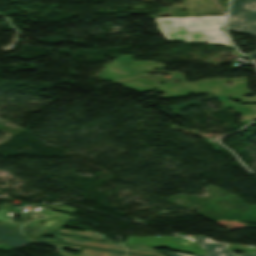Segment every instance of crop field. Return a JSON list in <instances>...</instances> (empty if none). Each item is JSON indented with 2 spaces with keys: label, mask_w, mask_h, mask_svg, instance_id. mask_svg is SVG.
Masks as SVG:
<instances>
[{
  "label": "crop field",
  "mask_w": 256,
  "mask_h": 256,
  "mask_svg": "<svg viewBox=\"0 0 256 256\" xmlns=\"http://www.w3.org/2000/svg\"><path fill=\"white\" fill-rule=\"evenodd\" d=\"M183 19L189 22L188 26L193 29H202L210 27H223L225 16L214 17H191V18H174Z\"/></svg>",
  "instance_id": "crop-field-8"
},
{
  "label": "crop field",
  "mask_w": 256,
  "mask_h": 256,
  "mask_svg": "<svg viewBox=\"0 0 256 256\" xmlns=\"http://www.w3.org/2000/svg\"><path fill=\"white\" fill-rule=\"evenodd\" d=\"M0 232L17 235V234H15V233H13V232H11V231H9V230H7V229L1 227V226H0Z\"/></svg>",
  "instance_id": "crop-field-12"
},
{
  "label": "crop field",
  "mask_w": 256,
  "mask_h": 256,
  "mask_svg": "<svg viewBox=\"0 0 256 256\" xmlns=\"http://www.w3.org/2000/svg\"><path fill=\"white\" fill-rule=\"evenodd\" d=\"M233 99L240 100L242 103H256V96L253 98L243 97L242 95L233 96Z\"/></svg>",
  "instance_id": "crop-field-11"
},
{
  "label": "crop field",
  "mask_w": 256,
  "mask_h": 256,
  "mask_svg": "<svg viewBox=\"0 0 256 256\" xmlns=\"http://www.w3.org/2000/svg\"><path fill=\"white\" fill-rule=\"evenodd\" d=\"M104 67L108 70L109 73L97 75L96 77L101 78L100 81L111 80L112 82L116 83V82H120L128 79L144 76L150 79L160 81L162 83L163 82L173 83L172 79L174 78H180L181 83L186 82L184 80V74L178 73V72L163 71V73L172 74L170 79H165L160 76L150 77L146 74V72H152L150 70H153L156 68L163 70L164 64H162V66H159V63L132 61V55L120 57L112 61L110 64L104 65ZM119 84L139 92L153 91L154 88L160 85L159 83L153 82L145 78L123 82Z\"/></svg>",
  "instance_id": "crop-field-1"
},
{
  "label": "crop field",
  "mask_w": 256,
  "mask_h": 256,
  "mask_svg": "<svg viewBox=\"0 0 256 256\" xmlns=\"http://www.w3.org/2000/svg\"><path fill=\"white\" fill-rule=\"evenodd\" d=\"M197 243L201 246V248L205 251L207 256H256L253 254H244V255H235L234 253L226 250L229 244L225 243H217L209 238L202 236V237H194ZM168 256H192L186 254H177V253H170ZM199 256V255H194Z\"/></svg>",
  "instance_id": "crop-field-6"
},
{
  "label": "crop field",
  "mask_w": 256,
  "mask_h": 256,
  "mask_svg": "<svg viewBox=\"0 0 256 256\" xmlns=\"http://www.w3.org/2000/svg\"><path fill=\"white\" fill-rule=\"evenodd\" d=\"M0 240L14 248H20L23 245H27L29 243H32L22 237L17 236H9V235H1L0 234Z\"/></svg>",
  "instance_id": "crop-field-10"
},
{
  "label": "crop field",
  "mask_w": 256,
  "mask_h": 256,
  "mask_svg": "<svg viewBox=\"0 0 256 256\" xmlns=\"http://www.w3.org/2000/svg\"><path fill=\"white\" fill-rule=\"evenodd\" d=\"M232 82V86L226 83ZM189 89L210 92L214 94H243L250 93L246 88V78L235 79H205L202 81L183 83Z\"/></svg>",
  "instance_id": "crop-field-4"
},
{
  "label": "crop field",
  "mask_w": 256,
  "mask_h": 256,
  "mask_svg": "<svg viewBox=\"0 0 256 256\" xmlns=\"http://www.w3.org/2000/svg\"><path fill=\"white\" fill-rule=\"evenodd\" d=\"M247 57L251 58H256V52L248 53L246 54Z\"/></svg>",
  "instance_id": "crop-field-13"
},
{
  "label": "crop field",
  "mask_w": 256,
  "mask_h": 256,
  "mask_svg": "<svg viewBox=\"0 0 256 256\" xmlns=\"http://www.w3.org/2000/svg\"><path fill=\"white\" fill-rule=\"evenodd\" d=\"M154 19L156 24L159 25L158 30L167 38V41L222 44L231 47L223 31H220L219 28L192 30L187 27L188 22L186 23L183 20L167 18Z\"/></svg>",
  "instance_id": "crop-field-2"
},
{
  "label": "crop field",
  "mask_w": 256,
  "mask_h": 256,
  "mask_svg": "<svg viewBox=\"0 0 256 256\" xmlns=\"http://www.w3.org/2000/svg\"><path fill=\"white\" fill-rule=\"evenodd\" d=\"M48 240V239H47ZM54 240H56V241H60L59 239H57V238H55ZM61 242V241H60Z\"/></svg>",
  "instance_id": "crop-field-14"
},
{
  "label": "crop field",
  "mask_w": 256,
  "mask_h": 256,
  "mask_svg": "<svg viewBox=\"0 0 256 256\" xmlns=\"http://www.w3.org/2000/svg\"><path fill=\"white\" fill-rule=\"evenodd\" d=\"M210 98H217V100L222 104L223 109L227 110L228 108H231L235 111V113L242 116V119L240 121L241 124L247 123L250 120L254 119L256 117V106H241L237 105L230 100H228L231 96H214V95H208Z\"/></svg>",
  "instance_id": "crop-field-7"
},
{
  "label": "crop field",
  "mask_w": 256,
  "mask_h": 256,
  "mask_svg": "<svg viewBox=\"0 0 256 256\" xmlns=\"http://www.w3.org/2000/svg\"><path fill=\"white\" fill-rule=\"evenodd\" d=\"M231 8L227 29L256 37V0H233Z\"/></svg>",
  "instance_id": "crop-field-3"
},
{
  "label": "crop field",
  "mask_w": 256,
  "mask_h": 256,
  "mask_svg": "<svg viewBox=\"0 0 256 256\" xmlns=\"http://www.w3.org/2000/svg\"><path fill=\"white\" fill-rule=\"evenodd\" d=\"M175 86V87H172ZM158 93H168L164 96H159V98H169V97H187L190 94H202L193 91H187L180 85L174 84H164L163 86L159 87L157 90Z\"/></svg>",
  "instance_id": "crop-field-9"
},
{
  "label": "crop field",
  "mask_w": 256,
  "mask_h": 256,
  "mask_svg": "<svg viewBox=\"0 0 256 256\" xmlns=\"http://www.w3.org/2000/svg\"><path fill=\"white\" fill-rule=\"evenodd\" d=\"M161 243L163 245H161ZM126 244L128 247H136V246H155V247H169L174 250L182 251V252H193L204 255L203 250L198 246V244L194 241V239L190 240H181L179 243L173 237H148V238H140V237H127Z\"/></svg>",
  "instance_id": "crop-field-5"
}]
</instances>
